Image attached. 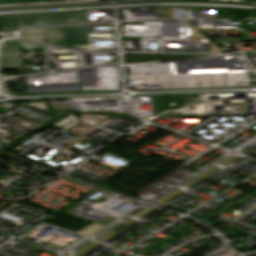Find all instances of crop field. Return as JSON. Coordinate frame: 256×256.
Masks as SVG:
<instances>
[{
    "label": "crop field",
    "mask_w": 256,
    "mask_h": 256,
    "mask_svg": "<svg viewBox=\"0 0 256 256\" xmlns=\"http://www.w3.org/2000/svg\"><path fill=\"white\" fill-rule=\"evenodd\" d=\"M155 116L166 111L164 96H152Z\"/></svg>",
    "instance_id": "f4fd0767"
},
{
    "label": "crop field",
    "mask_w": 256,
    "mask_h": 256,
    "mask_svg": "<svg viewBox=\"0 0 256 256\" xmlns=\"http://www.w3.org/2000/svg\"><path fill=\"white\" fill-rule=\"evenodd\" d=\"M20 41L17 43H9L4 46V61L2 62V70L20 69Z\"/></svg>",
    "instance_id": "34b2d1b8"
},
{
    "label": "crop field",
    "mask_w": 256,
    "mask_h": 256,
    "mask_svg": "<svg viewBox=\"0 0 256 256\" xmlns=\"http://www.w3.org/2000/svg\"><path fill=\"white\" fill-rule=\"evenodd\" d=\"M89 33L87 25L36 28L21 32V38L42 43L41 34Z\"/></svg>",
    "instance_id": "ac0d7876"
},
{
    "label": "crop field",
    "mask_w": 256,
    "mask_h": 256,
    "mask_svg": "<svg viewBox=\"0 0 256 256\" xmlns=\"http://www.w3.org/2000/svg\"><path fill=\"white\" fill-rule=\"evenodd\" d=\"M21 46L25 48V50H31V49H39L43 48L42 46L26 43L21 41Z\"/></svg>",
    "instance_id": "d8731c3e"
},
{
    "label": "crop field",
    "mask_w": 256,
    "mask_h": 256,
    "mask_svg": "<svg viewBox=\"0 0 256 256\" xmlns=\"http://www.w3.org/2000/svg\"><path fill=\"white\" fill-rule=\"evenodd\" d=\"M101 228H103V227L91 223L90 225H88L87 227L79 230L76 233H79V234L85 235V236H89V235L93 234L94 232L98 231Z\"/></svg>",
    "instance_id": "e52e79f7"
},
{
    "label": "crop field",
    "mask_w": 256,
    "mask_h": 256,
    "mask_svg": "<svg viewBox=\"0 0 256 256\" xmlns=\"http://www.w3.org/2000/svg\"><path fill=\"white\" fill-rule=\"evenodd\" d=\"M17 2H21V0H5V4L17 3Z\"/></svg>",
    "instance_id": "3316defc"
},
{
    "label": "crop field",
    "mask_w": 256,
    "mask_h": 256,
    "mask_svg": "<svg viewBox=\"0 0 256 256\" xmlns=\"http://www.w3.org/2000/svg\"><path fill=\"white\" fill-rule=\"evenodd\" d=\"M0 4H4V0H0Z\"/></svg>",
    "instance_id": "28ad6ade"
},
{
    "label": "crop field",
    "mask_w": 256,
    "mask_h": 256,
    "mask_svg": "<svg viewBox=\"0 0 256 256\" xmlns=\"http://www.w3.org/2000/svg\"><path fill=\"white\" fill-rule=\"evenodd\" d=\"M13 26H19V15L4 17L3 30L11 29Z\"/></svg>",
    "instance_id": "dd49c442"
},
{
    "label": "crop field",
    "mask_w": 256,
    "mask_h": 256,
    "mask_svg": "<svg viewBox=\"0 0 256 256\" xmlns=\"http://www.w3.org/2000/svg\"><path fill=\"white\" fill-rule=\"evenodd\" d=\"M35 1H58V0H22V2H35Z\"/></svg>",
    "instance_id": "5a996713"
},
{
    "label": "crop field",
    "mask_w": 256,
    "mask_h": 256,
    "mask_svg": "<svg viewBox=\"0 0 256 256\" xmlns=\"http://www.w3.org/2000/svg\"><path fill=\"white\" fill-rule=\"evenodd\" d=\"M43 43L67 48V41H90L89 34L42 35Z\"/></svg>",
    "instance_id": "412701ff"
},
{
    "label": "crop field",
    "mask_w": 256,
    "mask_h": 256,
    "mask_svg": "<svg viewBox=\"0 0 256 256\" xmlns=\"http://www.w3.org/2000/svg\"><path fill=\"white\" fill-rule=\"evenodd\" d=\"M81 22H88L87 11L20 15V28Z\"/></svg>",
    "instance_id": "8a807250"
}]
</instances>
